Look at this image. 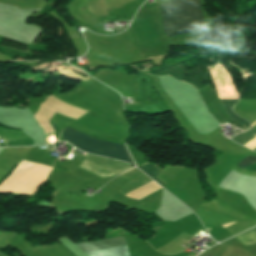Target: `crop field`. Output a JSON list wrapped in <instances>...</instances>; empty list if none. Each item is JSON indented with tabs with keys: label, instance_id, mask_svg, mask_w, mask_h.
<instances>
[{
	"label": "crop field",
	"instance_id": "8a807250",
	"mask_svg": "<svg viewBox=\"0 0 256 256\" xmlns=\"http://www.w3.org/2000/svg\"><path fill=\"white\" fill-rule=\"evenodd\" d=\"M160 8L166 37L205 29L200 0H174Z\"/></svg>",
	"mask_w": 256,
	"mask_h": 256
},
{
	"label": "crop field",
	"instance_id": "ac0d7876",
	"mask_svg": "<svg viewBox=\"0 0 256 256\" xmlns=\"http://www.w3.org/2000/svg\"><path fill=\"white\" fill-rule=\"evenodd\" d=\"M61 138L78 147L84 152L134 164L124 145L100 139L94 140L93 137L80 133L70 127H67L64 131H62Z\"/></svg>",
	"mask_w": 256,
	"mask_h": 256
},
{
	"label": "crop field",
	"instance_id": "34b2d1b8",
	"mask_svg": "<svg viewBox=\"0 0 256 256\" xmlns=\"http://www.w3.org/2000/svg\"><path fill=\"white\" fill-rule=\"evenodd\" d=\"M124 245H126V244H125L123 237L116 238V239H108V240H101V241L78 244V246L85 253L119 247V246H124Z\"/></svg>",
	"mask_w": 256,
	"mask_h": 256
},
{
	"label": "crop field",
	"instance_id": "412701ff",
	"mask_svg": "<svg viewBox=\"0 0 256 256\" xmlns=\"http://www.w3.org/2000/svg\"><path fill=\"white\" fill-rule=\"evenodd\" d=\"M220 100L223 104V107H224L227 115L229 116V118L231 119L232 122L236 123L243 129H247L250 127L248 122H246L244 119L235 115L233 113V111L231 110V107L236 103L237 99H220Z\"/></svg>",
	"mask_w": 256,
	"mask_h": 256
},
{
	"label": "crop field",
	"instance_id": "f4fd0767",
	"mask_svg": "<svg viewBox=\"0 0 256 256\" xmlns=\"http://www.w3.org/2000/svg\"><path fill=\"white\" fill-rule=\"evenodd\" d=\"M236 238L243 243L245 246H251L256 244V228L249 230L247 232H244Z\"/></svg>",
	"mask_w": 256,
	"mask_h": 256
},
{
	"label": "crop field",
	"instance_id": "dd49c442",
	"mask_svg": "<svg viewBox=\"0 0 256 256\" xmlns=\"http://www.w3.org/2000/svg\"><path fill=\"white\" fill-rule=\"evenodd\" d=\"M254 137H256V126L246 132L238 134L236 137L232 138V140L244 145L246 142L253 139Z\"/></svg>",
	"mask_w": 256,
	"mask_h": 256
},
{
	"label": "crop field",
	"instance_id": "e52e79f7",
	"mask_svg": "<svg viewBox=\"0 0 256 256\" xmlns=\"http://www.w3.org/2000/svg\"><path fill=\"white\" fill-rule=\"evenodd\" d=\"M141 170H143L145 173H147L150 177H152L155 181H157L160 185L163 187L165 186L162 184L159 180H157L155 177L161 172L158 170L153 164H145L143 166L138 167Z\"/></svg>",
	"mask_w": 256,
	"mask_h": 256
},
{
	"label": "crop field",
	"instance_id": "d8731c3e",
	"mask_svg": "<svg viewBox=\"0 0 256 256\" xmlns=\"http://www.w3.org/2000/svg\"><path fill=\"white\" fill-rule=\"evenodd\" d=\"M234 164H237V165L245 168V167L256 164V157L250 158V159H247V160H244V161H241V162H237V163H234Z\"/></svg>",
	"mask_w": 256,
	"mask_h": 256
},
{
	"label": "crop field",
	"instance_id": "5a996713",
	"mask_svg": "<svg viewBox=\"0 0 256 256\" xmlns=\"http://www.w3.org/2000/svg\"><path fill=\"white\" fill-rule=\"evenodd\" d=\"M245 146H247L251 149L255 148L256 147V138L251 140L250 142L246 143Z\"/></svg>",
	"mask_w": 256,
	"mask_h": 256
},
{
	"label": "crop field",
	"instance_id": "3316defc",
	"mask_svg": "<svg viewBox=\"0 0 256 256\" xmlns=\"http://www.w3.org/2000/svg\"><path fill=\"white\" fill-rule=\"evenodd\" d=\"M236 223V222H235ZM232 224H234V223H230V224H226V225H222L224 228H226V227H228V226H230V225H232Z\"/></svg>",
	"mask_w": 256,
	"mask_h": 256
},
{
	"label": "crop field",
	"instance_id": "28ad6ade",
	"mask_svg": "<svg viewBox=\"0 0 256 256\" xmlns=\"http://www.w3.org/2000/svg\"><path fill=\"white\" fill-rule=\"evenodd\" d=\"M210 256H212V255H210Z\"/></svg>",
	"mask_w": 256,
	"mask_h": 256
}]
</instances>
